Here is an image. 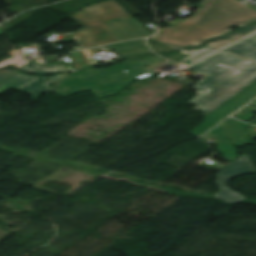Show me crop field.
Returning <instances> with one entry per match:
<instances>
[{"instance_id":"17","label":"crop field","mask_w":256,"mask_h":256,"mask_svg":"<svg viewBox=\"0 0 256 256\" xmlns=\"http://www.w3.org/2000/svg\"><path fill=\"white\" fill-rule=\"evenodd\" d=\"M163 57H166V58H170L172 60H175L177 62L181 61L182 59L186 58L188 55L186 54H183L181 52H176L174 54H167V55H163V54H159Z\"/></svg>"},{"instance_id":"7","label":"crop field","mask_w":256,"mask_h":256,"mask_svg":"<svg viewBox=\"0 0 256 256\" xmlns=\"http://www.w3.org/2000/svg\"><path fill=\"white\" fill-rule=\"evenodd\" d=\"M62 75L63 74H58L54 77H41L39 80L35 81L39 77H34L18 72L11 77L5 79L4 81L0 82V93L10 88L25 91L26 89L36 85L37 83L49 78L48 80L38 84L37 86L25 91L33 94L32 98L37 99V97L40 96L42 93L51 89V87L47 84L48 82H56L60 79Z\"/></svg>"},{"instance_id":"2","label":"crop field","mask_w":256,"mask_h":256,"mask_svg":"<svg viewBox=\"0 0 256 256\" xmlns=\"http://www.w3.org/2000/svg\"><path fill=\"white\" fill-rule=\"evenodd\" d=\"M190 68L209 75L192 86L199 95L188 102L204 113L202 116L256 81V63L221 51Z\"/></svg>"},{"instance_id":"1","label":"crop field","mask_w":256,"mask_h":256,"mask_svg":"<svg viewBox=\"0 0 256 256\" xmlns=\"http://www.w3.org/2000/svg\"><path fill=\"white\" fill-rule=\"evenodd\" d=\"M187 21L164 27L153 38L175 48L199 45L223 35L236 24L243 27L256 20V11L236 0H205L200 10Z\"/></svg>"},{"instance_id":"18","label":"crop field","mask_w":256,"mask_h":256,"mask_svg":"<svg viewBox=\"0 0 256 256\" xmlns=\"http://www.w3.org/2000/svg\"><path fill=\"white\" fill-rule=\"evenodd\" d=\"M16 72L17 71H12V70H0V81L4 80L5 78L11 76Z\"/></svg>"},{"instance_id":"20","label":"crop field","mask_w":256,"mask_h":256,"mask_svg":"<svg viewBox=\"0 0 256 256\" xmlns=\"http://www.w3.org/2000/svg\"><path fill=\"white\" fill-rule=\"evenodd\" d=\"M3 33H4L3 30L0 28V35H3Z\"/></svg>"},{"instance_id":"11","label":"crop field","mask_w":256,"mask_h":256,"mask_svg":"<svg viewBox=\"0 0 256 256\" xmlns=\"http://www.w3.org/2000/svg\"><path fill=\"white\" fill-rule=\"evenodd\" d=\"M107 46L122 57L150 51L148 47L145 45V39L112 44Z\"/></svg>"},{"instance_id":"6","label":"crop field","mask_w":256,"mask_h":256,"mask_svg":"<svg viewBox=\"0 0 256 256\" xmlns=\"http://www.w3.org/2000/svg\"><path fill=\"white\" fill-rule=\"evenodd\" d=\"M256 97V82L223 103L221 106L204 116V120L187 134L198 136L240 108L242 105Z\"/></svg>"},{"instance_id":"4","label":"crop field","mask_w":256,"mask_h":256,"mask_svg":"<svg viewBox=\"0 0 256 256\" xmlns=\"http://www.w3.org/2000/svg\"><path fill=\"white\" fill-rule=\"evenodd\" d=\"M129 16L131 15L113 0L88 6L69 17L83 27L82 31L72 37L80 49L118 42L117 37L102 21Z\"/></svg>"},{"instance_id":"19","label":"crop field","mask_w":256,"mask_h":256,"mask_svg":"<svg viewBox=\"0 0 256 256\" xmlns=\"http://www.w3.org/2000/svg\"><path fill=\"white\" fill-rule=\"evenodd\" d=\"M196 51H197V49H191V50H183V51H181V52L190 55V54H192V53H194V52H196Z\"/></svg>"},{"instance_id":"5","label":"crop field","mask_w":256,"mask_h":256,"mask_svg":"<svg viewBox=\"0 0 256 256\" xmlns=\"http://www.w3.org/2000/svg\"><path fill=\"white\" fill-rule=\"evenodd\" d=\"M251 173H256V168L254 167L246 153L217 172V179L215 181L221 191L215 194V197L229 203L243 201L246 198L235 191L227 189V183L231 178L237 175Z\"/></svg>"},{"instance_id":"16","label":"crop field","mask_w":256,"mask_h":256,"mask_svg":"<svg viewBox=\"0 0 256 256\" xmlns=\"http://www.w3.org/2000/svg\"><path fill=\"white\" fill-rule=\"evenodd\" d=\"M148 43L150 45V47L155 51V52H167V51H172L175 50L155 39L150 38L148 40ZM176 51V50H175ZM173 52V51H172Z\"/></svg>"},{"instance_id":"15","label":"crop field","mask_w":256,"mask_h":256,"mask_svg":"<svg viewBox=\"0 0 256 256\" xmlns=\"http://www.w3.org/2000/svg\"><path fill=\"white\" fill-rule=\"evenodd\" d=\"M211 48L212 47L205 46L179 63L182 64L183 66H189L193 64L195 61H197L199 58L211 53L209 51Z\"/></svg>"},{"instance_id":"14","label":"crop field","mask_w":256,"mask_h":256,"mask_svg":"<svg viewBox=\"0 0 256 256\" xmlns=\"http://www.w3.org/2000/svg\"><path fill=\"white\" fill-rule=\"evenodd\" d=\"M28 67H23L19 70L21 71H25V72H33L36 73L38 75H46L50 72H60L63 71L62 67L60 65H48V66H40L37 63L33 62L29 65H27ZM58 67V68H56Z\"/></svg>"},{"instance_id":"13","label":"crop field","mask_w":256,"mask_h":256,"mask_svg":"<svg viewBox=\"0 0 256 256\" xmlns=\"http://www.w3.org/2000/svg\"><path fill=\"white\" fill-rule=\"evenodd\" d=\"M253 32H256V25L254 26H251V27H248V28H245V30L242 32V31H238V32H235V33H232V34H229L217 41H214V42H210L208 43L207 45L208 46H212V47H215L217 49H220L240 38H243Z\"/></svg>"},{"instance_id":"10","label":"crop field","mask_w":256,"mask_h":256,"mask_svg":"<svg viewBox=\"0 0 256 256\" xmlns=\"http://www.w3.org/2000/svg\"><path fill=\"white\" fill-rule=\"evenodd\" d=\"M222 51L233 53L241 57L256 61V34L235 45L224 48Z\"/></svg>"},{"instance_id":"8","label":"crop field","mask_w":256,"mask_h":256,"mask_svg":"<svg viewBox=\"0 0 256 256\" xmlns=\"http://www.w3.org/2000/svg\"><path fill=\"white\" fill-rule=\"evenodd\" d=\"M120 41L151 35L134 17L104 22Z\"/></svg>"},{"instance_id":"9","label":"crop field","mask_w":256,"mask_h":256,"mask_svg":"<svg viewBox=\"0 0 256 256\" xmlns=\"http://www.w3.org/2000/svg\"><path fill=\"white\" fill-rule=\"evenodd\" d=\"M213 136H216L221 141L218 146V153L224 155L231 162L238 158L234 146L228 138L225 121L205 135L207 138Z\"/></svg>"},{"instance_id":"3","label":"crop field","mask_w":256,"mask_h":256,"mask_svg":"<svg viewBox=\"0 0 256 256\" xmlns=\"http://www.w3.org/2000/svg\"><path fill=\"white\" fill-rule=\"evenodd\" d=\"M140 60L139 62L125 60L106 69L89 68L81 72L67 74L53 92L64 97L86 90H90L97 98L115 95L131 81L155 75L152 69L165 61L157 55ZM146 65L150 68H146ZM125 70H128L129 73L123 72Z\"/></svg>"},{"instance_id":"12","label":"crop field","mask_w":256,"mask_h":256,"mask_svg":"<svg viewBox=\"0 0 256 256\" xmlns=\"http://www.w3.org/2000/svg\"><path fill=\"white\" fill-rule=\"evenodd\" d=\"M228 127L231 139L236 146L250 144L248 125L236 119L230 118L228 120Z\"/></svg>"}]
</instances>
